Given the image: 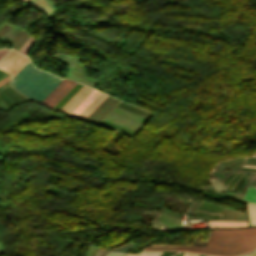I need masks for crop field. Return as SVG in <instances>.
I'll return each instance as SVG.
<instances>
[{"label": "crop field", "mask_w": 256, "mask_h": 256, "mask_svg": "<svg viewBox=\"0 0 256 256\" xmlns=\"http://www.w3.org/2000/svg\"><path fill=\"white\" fill-rule=\"evenodd\" d=\"M246 164H256V158L255 157H246L245 162ZM239 170H254L256 171V169H247V168H239Z\"/></svg>", "instance_id": "22"}, {"label": "crop field", "mask_w": 256, "mask_h": 256, "mask_svg": "<svg viewBox=\"0 0 256 256\" xmlns=\"http://www.w3.org/2000/svg\"><path fill=\"white\" fill-rule=\"evenodd\" d=\"M195 214L200 216L212 217V218H200V219H219L220 218V215H210V214H205L200 212H196Z\"/></svg>", "instance_id": "23"}, {"label": "crop field", "mask_w": 256, "mask_h": 256, "mask_svg": "<svg viewBox=\"0 0 256 256\" xmlns=\"http://www.w3.org/2000/svg\"><path fill=\"white\" fill-rule=\"evenodd\" d=\"M242 159H245V157L235 158V159H233L232 161H229V162L223 164L222 166H226V165L230 164L231 162H233V161H235V160H242ZM227 160H229V159H227ZM227 160H221V161H218V163H222V162L227 161Z\"/></svg>", "instance_id": "25"}, {"label": "crop field", "mask_w": 256, "mask_h": 256, "mask_svg": "<svg viewBox=\"0 0 256 256\" xmlns=\"http://www.w3.org/2000/svg\"><path fill=\"white\" fill-rule=\"evenodd\" d=\"M21 54V53H20ZM18 55L12 63L5 69V71L9 72L11 78L19 71V69L28 61V58Z\"/></svg>", "instance_id": "8"}, {"label": "crop field", "mask_w": 256, "mask_h": 256, "mask_svg": "<svg viewBox=\"0 0 256 256\" xmlns=\"http://www.w3.org/2000/svg\"><path fill=\"white\" fill-rule=\"evenodd\" d=\"M198 256H203V255L199 254Z\"/></svg>", "instance_id": "33"}, {"label": "crop field", "mask_w": 256, "mask_h": 256, "mask_svg": "<svg viewBox=\"0 0 256 256\" xmlns=\"http://www.w3.org/2000/svg\"><path fill=\"white\" fill-rule=\"evenodd\" d=\"M251 225H256V204L247 202Z\"/></svg>", "instance_id": "17"}, {"label": "crop field", "mask_w": 256, "mask_h": 256, "mask_svg": "<svg viewBox=\"0 0 256 256\" xmlns=\"http://www.w3.org/2000/svg\"><path fill=\"white\" fill-rule=\"evenodd\" d=\"M107 97V95L101 93L89 106H87L78 116L82 120H85L96 107Z\"/></svg>", "instance_id": "9"}, {"label": "crop field", "mask_w": 256, "mask_h": 256, "mask_svg": "<svg viewBox=\"0 0 256 256\" xmlns=\"http://www.w3.org/2000/svg\"><path fill=\"white\" fill-rule=\"evenodd\" d=\"M126 253L109 251L106 256H124Z\"/></svg>", "instance_id": "24"}, {"label": "crop field", "mask_w": 256, "mask_h": 256, "mask_svg": "<svg viewBox=\"0 0 256 256\" xmlns=\"http://www.w3.org/2000/svg\"><path fill=\"white\" fill-rule=\"evenodd\" d=\"M161 251L142 252L139 256H160ZM138 254H128L127 256H137Z\"/></svg>", "instance_id": "21"}, {"label": "crop field", "mask_w": 256, "mask_h": 256, "mask_svg": "<svg viewBox=\"0 0 256 256\" xmlns=\"http://www.w3.org/2000/svg\"><path fill=\"white\" fill-rule=\"evenodd\" d=\"M238 213V210H233V209H227L225 208L223 211V214L221 216V219H229V220H234L236 215ZM242 219H246V215L243 212H239L236 220H242Z\"/></svg>", "instance_id": "11"}, {"label": "crop field", "mask_w": 256, "mask_h": 256, "mask_svg": "<svg viewBox=\"0 0 256 256\" xmlns=\"http://www.w3.org/2000/svg\"><path fill=\"white\" fill-rule=\"evenodd\" d=\"M61 80L34 68L29 60L11 79V87L40 103Z\"/></svg>", "instance_id": "2"}, {"label": "crop field", "mask_w": 256, "mask_h": 256, "mask_svg": "<svg viewBox=\"0 0 256 256\" xmlns=\"http://www.w3.org/2000/svg\"><path fill=\"white\" fill-rule=\"evenodd\" d=\"M237 172L232 173L224 182L223 184L226 186L229 183V180L236 174ZM243 173V172H242ZM242 173H238L235 178L231 181V183L229 184V186L227 187V190H231V188L233 187L234 183L236 182L237 178L239 176H241ZM251 172H244L241 179L237 182V184L235 185V187L233 188L232 191L234 192H243L244 191V181L247 179V177L250 175ZM212 185L215 187V189H224L225 187L222 185V183L216 179H210Z\"/></svg>", "instance_id": "4"}, {"label": "crop field", "mask_w": 256, "mask_h": 256, "mask_svg": "<svg viewBox=\"0 0 256 256\" xmlns=\"http://www.w3.org/2000/svg\"><path fill=\"white\" fill-rule=\"evenodd\" d=\"M243 199L256 202V188L248 186L247 192Z\"/></svg>", "instance_id": "20"}, {"label": "crop field", "mask_w": 256, "mask_h": 256, "mask_svg": "<svg viewBox=\"0 0 256 256\" xmlns=\"http://www.w3.org/2000/svg\"><path fill=\"white\" fill-rule=\"evenodd\" d=\"M243 166L256 167V165H243Z\"/></svg>", "instance_id": "30"}, {"label": "crop field", "mask_w": 256, "mask_h": 256, "mask_svg": "<svg viewBox=\"0 0 256 256\" xmlns=\"http://www.w3.org/2000/svg\"><path fill=\"white\" fill-rule=\"evenodd\" d=\"M183 255V253L182 252H180V253H178L177 255H175V256H182Z\"/></svg>", "instance_id": "31"}, {"label": "crop field", "mask_w": 256, "mask_h": 256, "mask_svg": "<svg viewBox=\"0 0 256 256\" xmlns=\"http://www.w3.org/2000/svg\"><path fill=\"white\" fill-rule=\"evenodd\" d=\"M210 227H225V226H247L248 222L237 221H207Z\"/></svg>", "instance_id": "12"}, {"label": "crop field", "mask_w": 256, "mask_h": 256, "mask_svg": "<svg viewBox=\"0 0 256 256\" xmlns=\"http://www.w3.org/2000/svg\"><path fill=\"white\" fill-rule=\"evenodd\" d=\"M19 53L11 50L1 61L0 68L5 69Z\"/></svg>", "instance_id": "15"}, {"label": "crop field", "mask_w": 256, "mask_h": 256, "mask_svg": "<svg viewBox=\"0 0 256 256\" xmlns=\"http://www.w3.org/2000/svg\"><path fill=\"white\" fill-rule=\"evenodd\" d=\"M22 1H24V0H22Z\"/></svg>", "instance_id": "34"}, {"label": "crop field", "mask_w": 256, "mask_h": 256, "mask_svg": "<svg viewBox=\"0 0 256 256\" xmlns=\"http://www.w3.org/2000/svg\"><path fill=\"white\" fill-rule=\"evenodd\" d=\"M75 84L63 79L41 103L53 108Z\"/></svg>", "instance_id": "3"}, {"label": "crop field", "mask_w": 256, "mask_h": 256, "mask_svg": "<svg viewBox=\"0 0 256 256\" xmlns=\"http://www.w3.org/2000/svg\"><path fill=\"white\" fill-rule=\"evenodd\" d=\"M176 252H169V251H163L162 256H170L172 254H175Z\"/></svg>", "instance_id": "26"}, {"label": "crop field", "mask_w": 256, "mask_h": 256, "mask_svg": "<svg viewBox=\"0 0 256 256\" xmlns=\"http://www.w3.org/2000/svg\"><path fill=\"white\" fill-rule=\"evenodd\" d=\"M92 90L84 86L60 111L69 115Z\"/></svg>", "instance_id": "6"}, {"label": "crop field", "mask_w": 256, "mask_h": 256, "mask_svg": "<svg viewBox=\"0 0 256 256\" xmlns=\"http://www.w3.org/2000/svg\"><path fill=\"white\" fill-rule=\"evenodd\" d=\"M256 248V227L242 229H214L209 233L207 246L151 245L144 250H182L236 256Z\"/></svg>", "instance_id": "1"}, {"label": "crop field", "mask_w": 256, "mask_h": 256, "mask_svg": "<svg viewBox=\"0 0 256 256\" xmlns=\"http://www.w3.org/2000/svg\"><path fill=\"white\" fill-rule=\"evenodd\" d=\"M24 3L32 8L42 11L49 18L54 15L55 7L50 0H25Z\"/></svg>", "instance_id": "5"}, {"label": "crop field", "mask_w": 256, "mask_h": 256, "mask_svg": "<svg viewBox=\"0 0 256 256\" xmlns=\"http://www.w3.org/2000/svg\"><path fill=\"white\" fill-rule=\"evenodd\" d=\"M243 256H256V250Z\"/></svg>", "instance_id": "27"}, {"label": "crop field", "mask_w": 256, "mask_h": 256, "mask_svg": "<svg viewBox=\"0 0 256 256\" xmlns=\"http://www.w3.org/2000/svg\"><path fill=\"white\" fill-rule=\"evenodd\" d=\"M118 107H121V108H123V109L132 111V112L137 113V114H140V115H143V116L148 117V118H150V117L153 115V114H151V113H148V112H146V111H143V110H141V109H138V108H136V107H134V106H131V105H129V104H126V103H124V102H120L119 105H118Z\"/></svg>", "instance_id": "14"}, {"label": "crop field", "mask_w": 256, "mask_h": 256, "mask_svg": "<svg viewBox=\"0 0 256 256\" xmlns=\"http://www.w3.org/2000/svg\"><path fill=\"white\" fill-rule=\"evenodd\" d=\"M113 99V97L108 96L98 107L97 109L86 119V121L91 122L101 111L102 109Z\"/></svg>", "instance_id": "16"}, {"label": "crop field", "mask_w": 256, "mask_h": 256, "mask_svg": "<svg viewBox=\"0 0 256 256\" xmlns=\"http://www.w3.org/2000/svg\"><path fill=\"white\" fill-rule=\"evenodd\" d=\"M4 73H5V72H3V71L0 70V76H2Z\"/></svg>", "instance_id": "32"}, {"label": "crop field", "mask_w": 256, "mask_h": 256, "mask_svg": "<svg viewBox=\"0 0 256 256\" xmlns=\"http://www.w3.org/2000/svg\"><path fill=\"white\" fill-rule=\"evenodd\" d=\"M100 124H101V125H104V126H106V127H109V128H111V129H113V130H115V131H117V132H121V133H124V134H127V135L133 136V135L135 134V132H132V131H129V130H127V129H124V128H121V127L112 125V124L107 123V122H104V121H102Z\"/></svg>", "instance_id": "18"}, {"label": "crop field", "mask_w": 256, "mask_h": 256, "mask_svg": "<svg viewBox=\"0 0 256 256\" xmlns=\"http://www.w3.org/2000/svg\"><path fill=\"white\" fill-rule=\"evenodd\" d=\"M198 254H188V253H185L184 256H197Z\"/></svg>", "instance_id": "28"}, {"label": "crop field", "mask_w": 256, "mask_h": 256, "mask_svg": "<svg viewBox=\"0 0 256 256\" xmlns=\"http://www.w3.org/2000/svg\"><path fill=\"white\" fill-rule=\"evenodd\" d=\"M100 92L95 89L82 101V103L70 114V116L76 117L88 104H90Z\"/></svg>", "instance_id": "10"}, {"label": "crop field", "mask_w": 256, "mask_h": 256, "mask_svg": "<svg viewBox=\"0 0 256 256\" xmlns=\"http://www.w3.org/2000/svg\"><path fill=\"white\" fill-rule=\"evenodd\" d=\"M78 83L66 94V96L54 107V109L74 90ZM83 85H78L75 90L56 108L60 110L81 88Z\"/></svg>", "instance_id": "13"}, {"label": "crop field", "mask_w": 256, "mask_h": 256, "mask_svg": "<svg viewBox=\"0 0 256 256\" xmlns=\"http://www.w3.org/2000/svg\"><path fill=\"white\" fill-rule=\"evenodd\" d=\"M242 165V164H241ZM241 165H237V166H235V167H233L232 169H230V170H235V169H237L239 166H241Z\"/></svg>", "instance_id": "29"}, {"label": "crop field", "mask_w": 256, "mask_h": 256, "mask_svg": "<svg viewBox=\"0 0 256 256\" xmlns=\"http://www.w3.org/2000/svg\"><path fill=\"white\" fill-rule=\"evenodd\" d=\"M19 103L24 102L28 99L20 95L18 92L10 88L8 85L4 87ZM1 89L9 99L15 104H19L5 89ZM0 90V98L6 103V105L11 109L14 104L7 98V96Z\"/></svg>", "instance_id": "7"}, {"label": "crop field", "mask_w": 256, "mask_h": 256, "mask_svg": "<svg viewBox=\"0 0 256 256\" xmlns=\"http://www.w3.org/2000/svg\"><path fill=\"white\" fill-rule=\"evenodd\" d=\"M199 207H203V208H207V209H211V210H215V211H219V212H222L223 209H224L222 207H218V206H215V205H212V204H208V203L203 202V201L200 202ZM199 207L197 209L210 211V212H215V211H211V210H207V209H203V208H199ZM219 212H215V213H219Z\"/></svg>", "instance_id": "19"}]
</instances>
